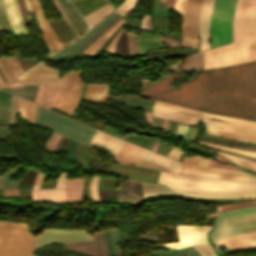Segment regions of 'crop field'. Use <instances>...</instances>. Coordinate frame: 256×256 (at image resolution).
Returning <instances> with one entry per match:
<instances>
[{"label":"crop field","instance_id":"crop-field-1","mask_svg":"<svg viewBox=\"0 0 256 256\" xmlns=\"http://www.w3.org/2000/svg\"><path fill=\"white\" fill-rule=\"evenodd\" d=\"M182 74L141 80V95L207 113L256 120V61L221 67L170 86Z\"/></svg>","mask_w":256,"mask_h":256},{"label":"crop field","instance_id":"crop-field-2","mask_svg":"<svg viewBox=\"0 0 256 256\" xmlns=\"http://www.w3.org/2000/svg\"><path fill=\"white\" fill-rule=\"evenodd\" d=\"M181 164L172 173L161 171L158 183L174 188L185 196L214 198L256 197V185L180 175Z\"/></svg>","mask_w":256,"mask_h":256},{"label":"crop field","instance_id":"crop-field-3","mask_svg":"<svg viewBox=\"0 0 256 256\" xmlns=\"http://www.w3.org/2000/svg\"><path fill=\"white\" fill-rule=\"evenodd\" d=\"M252 235H256V206L219 214L209 237L216 246L229 240Z\"/></svg>","mask_w":256,"mask_h":256},{"label":"crop field","instance_id":"crop-field-4","mask_svg":"<svg viewBox=\"0 0 256 256\" xmlns=\"http://www.w3.org/2000/svg\"><path fill=\"white\" fill-rule=\"evenodd\" d=\"M245 0H238L233 20L234 43L204 52V70L241 63V20Z\"/></svg>","mask_w":256,"mask_h":256},{"label":"crop field","instance_id":"crop-field-5","mask_svg":"<svg viewBox=\"0 0 256 256\" xmlns=\"http://www.w3.org/2000/svg\"><path fill=\"white\" fill-rule=\"evenodd\" d=\"M35 125L89 143L96 129L37 105Z\"/></svg>","mask_w":256,"mask_h":256},{"label":"crop field","instance_id":"crop-field-6","mask_svg":"<svg viewBox=\"0 0 256 256\" xmlns=\"http://www.w3.org/2000/svg\"><path fill=\"white\" fill-rule=\"evenodd\" d=\"M236 0H214L210 20L211 48L231 41V20Z\"/></svg>","mask_w":256,"mask_h":256},{"label":"crop field","instance_id":"crop-field-7","mask_svg":"<svg viewBox=\"0 0 256 256\" xmlns=\"http://www.w3.org/2000/svg\"><path fill=\"white\" fill-rule=\"evenodd\" d=\"M256 60V0H246L242 20V63Z\"/></svg>","mask_w":256,"mask_h":256},{"label":"crop field","instance_id":"crop-field-8","mask_svg":"<svg viewBox=\"0 0 256 256\" xmlns=\"http://www.w3.org/2000/svg\"><path fill=\"white\" fill-rule=\"evenodd\" d=\"M85 71H71L62 78V89L56 105V110L71 115L75 108L83 86L82 74Z\"/></svg>","mask_w":256,"mask_h":256},{"label":"crop field","instance_id":"crop-field-9","mask_svg":"<svg viewBox=\"0 0 256 256\" xmlns=\"http://www.w3.org/2000/svg\"><path fill=\"white\" fill-rule=\"evenodd\" d=\"M207 134L256 143V128L203 118Z\"/></svg>","mask_w":256,"mask_h":256},{"label":"crop field","instance_id":"crop-field-10","mask_svg":"<svg viewBox=\"0 0 256 256\" xmlns=\"http://www.w3.org/2000/svg\"><path fill=\"white\" fill-rule=\"evenodd\" d=\"M212 226L176 225L179 242L169 244H156L154 247L166 249H181L183 247L207 242V232Z\"/></svg>","mask_w":256,"mask_h":256},{"label":"crop field","instance_id":"crop-field-11","mask_svg":"<svg viewBox=\"0 0 256 256\" xmlns=\"http://www.w3.org/2000/svg\"><path fill=\"white\" fill-rule=\"evenodd\" d=\"M93 239L91 234L85 230H62V229H43V234L37 235L36 248L56 242H71Z\"/></svg>","mask_w":256,"mask_h":256},{"label":"crop field","instance_id":"crop-field-12","mask_svg":"<svg viewBox=\"0 0 256 256\" xmlns=\"http://www.w3.org/2000/svg\"><path fill=\"white\" fill-rule=\"evenodd\" d=\"M203 0H187L184 15L182 40L198 44L197 26Z\"/></svg>","mask_w":256,"mask_h":256},{"label":"crop field","instance_id":"crop-field-13","mask_svg":"<svg viewBox=\"0 0 256 256\" xmlns=\"http://www.w3.org/2000/svg\"><path fill=\"white\" fill-rule=\"evenodd\" d=\"M43 63V62H42ZM59 72L43 63L38 67H33L15 79L32 85L62 84L58 78Z\"/></svg>","mask_w":256,"mask_h":256},{"label":"crop field","instance_id":"crop-field-14","mask_svg":"<svg viewBox=\"0 0 256 256\" xmlns=\"http://www.w3.org/2000/svg\"><path fill=\"white\" fill-rule=\"evenodd\" d=\"M27 225L12 223L7 256H22Z\"/></svg>","mask_w":256,"mask_h":256},{"label":"crop field","instance_id":"crop-field-15","mask_svg":"<svg viewBox=\"0 0 256 256\" xmlns=\"http://www.w3.org/2000/svg\"><path fill=\"white\" fill-rule=\"evenodd\" d=\"M174 160L153 153L145 149L137 165L156 168L164 171H172Z\"/></svg>","mask_w":256,"mask_h":256},{"label":"crop field","instance_id":"crop-field-16","mask_svg":"<svg viewBox=\"0 0 256 256\" xmlns=\"http://www.w3.org/2000/svg\"><path fill=\"white\" fill-rule=\"evenodd\" d=\"M213 0H204L200 21H199V37L200 51L209 49V20L211 16Z\"/></svg>","mask_w":256,"mask_h":256},{"label":"crop field","instance_id":"crop-field-17","mask_svg":"<svg viewBox=\"0 0 256 256\" xmlns=\"http://www.w3.org/2000/svg\"><path fill=\"white\" fill-rule=\"evenodd\" d=\"M31 3L33 6V10H34L38 25H39V23H41V25L43 27V30H44L43 34H44L45 38L48 40V42L51 44V46L54 48L55 51L60 49L63 45L59 41V39L56 37V35L53 33L45 15L41 9L39 1L31 0ZM42 27L40 26L41 30H42Z\"/></svg>","mask_w":256,"mask_h":256},{"label":"crop field","instance_id":"crop-field-18","mask_svg":"<svg viewBox=\"0 0 256 256\" xmlns=\"http://www.w3.org/2000/svg\"><path fill=\"white\" fill-rule=\"evenodd\" d=\"M9 23L15 34L27 35L16 0H3Z\"/></svg>","mask_w":256,"mask_h":256},{"label":"crop field","instance_id":"crop-field-19","mask_svg":"<svg viewBox=\"0 0 256 256\" xmlns=\"http://www.w3.org/2000/svg\"><path fill=\"white\" fill-rule=\"evenodd\" d=\"M142 183H143L147 201L153 200V199L175 198L178 196H183L180 193L166 186L151 184L143 181Z\"/></svg>","mask_w":256,"mask_h":256},{"label":"crop field","instance_id":"crop-field-20","mask_svg":"<svg viewBox=\"0 0 256 256\" xmlns=\"http://www.w3.org/2000/svg\"><path fill=\"white\" fill-rule=\"evenodd\" d=\"M122 143L123 140L97 130L90 145L104 147L112 154H116Z\"/></svg>","mask_w":256,"mask_h":256},{"label":"crop field","instance_id":"crop-field-21","mask_svg":"<svg viewBox=\"0 0 256 256\" xmlns=\"http://www.w3.org/2000/svg\"><path fill=\"white\" fill-rule=\"evenodd\" d=\"M123 23L122 17L113 24L107 31H105L99 38H97L91 45H89L77 57L83 58L85 56L91 57L96 50L107 40V38Z\"/></svg>","mask_w":256,"mask_h":256},{"label":"crop field","instance_id":"crop-field-22","mask_svg":"<svg viewBox=\"0 0 256 256\" xmlns=\"http://www.w3.org/2000/svg\"><path fill=\"white\" fill-rule=\"evenodd\" d=\"M0 70L7 81L23 72L15 57L7 59L0 58Z\"/></svg>","mask_w":256,"mask_h":256},{"label":"crop field","instance_id":"crop-field-23","mask_svg":"<svg viewBox=\"0 0 256 256\" xmlns=\"http://www.w3.org/2000/svg\"><path fill=\"white\" fill-rule=\"evenodd\" d=\"M12 95L0 91V126H9Z\"/></svg>","mask_w":256,"mask_h":256},{"label":"crop field","instance_id":"crop-field-24","mask_svg":"<svg viewBox=\"0 0 256 256\" xmlns=\"http://www.w3.org/2000/svg\"><path fill=\"white\" fill-rule=\"evenodd\" d=\"M153 115L157 117L167 118V119H174V120L184 122L194 126H196L199 121L198 118H194V117H190V116H186V115H182V114H178V113H174V112H170V111H166V110H162L154 107H153Z\"/></svg>","mask_w":256,"mask_h":256},{"label":"crop field","instance_id":"crop-field-25","mask_svg":"<svg viewBox=\"0 0 256 256\" xmlns=\"http://www.w3.org/2000/svg\"><path fill=\"white\" fill-rule=\"evenodd\" d=\"M208 160L209 159H206L202 156L200 157L199 164H198L197 170H196L194 175L207 176V177L226 179V180H235V181H245V182H254V183H256V179H248V178H240V177H232V176H224V175L204 173L206 165L208 163Z\"/></svg>","mask_w":256,"mask_h":256},{"label":"crop field","instance_id":"crop-field-26","mask_svg":"<svg viewBox=\"0 0 256 256\" xmlns=\"http://www.w3.org/2000/svg\"><path fill=\"white\" fill-rule=\"evenodd\" d=\"M115 15H116V13H114V12L109 14L105 19H103L99 24H97L93 29H91L87 34H85L83 37H81L77 42L75 41L76 43L59 51L58 53H56L55 55L50 57L48 60L53 61V60L65 55L66 53H68L70 50H72L74 47H76L78 44H80L82 41H84L87 37H89L92 33H94L97 29H99L101 26H103L105 23H107Z\"/></svg>","mask_w":256,"mask_h":256},{"label":"crop field","instance_id":"crop-field-27","mask_svg":"<svg viewBox=\"0 0 256 256\" xmlns=\"http://www.w3.org/2000/svg\"><path fill=\"white\" fill-rule=\"evenodd\" d=\"M162 36H139L137 37L138 52L141 55L143 52L161 47Z\"/></svg>","mask_w":256,"mask_h":256},{"label":"crop field","instance_id":"crop-field-28","mask_svg":"<svg viewBox=\"0 0 256 256\" xmlns=\"http://www.w3.org/2000/svg\"><path fill=\"white\" fill-rule=\"evenodd\" d=\"M40 201H51L54 203H60L65 201L63 189L61 190H39Z\"/></svg>","mask_w":256,"mask_h":256},{"label":"crop field","instance_id":"crop-field-29","mask_svg":"<svg viewBox=\"0 0 256 256\" xmlns=\"http://www.w3.org/2000/svg\"><path fill=\"white\" fill-rule=\"evenodd\" d=\"M5 226H6V222H0V256H1V250H2ZM10 226H11V223L7 222L5 238H4V244H3V250H2V256H6V253H7L8 239H9V233H10Z\"/></svg>","mask_w":256,"mask_h":256},{"label":"crop field","instance_id":"crop-field-30","mask_svg":"<svg viewBox=\"0 0 256 256\" xmlns=\"http://www.w3.org/2000/svg\"><path fill=\"white\" fill-rule=\"evenodd\" d=\"M211 151L214 152V153L220 154L222 156H225V157L233 160L235 163H237L241 166H244L246 168L249 167L253 170H256V162L255 161H251V160L241 158V157H238V156H235V155L226 154V153H222V152H218V151H214V150H211Z\"/></svg>","mask_w":256,"mask_h":256},{"label":"crop field","instance_id":"crop-field-31","mask_svg":"<svg viewBox=\"0 0 256 256\" xmlns=\"http://www.w3.org/2000/svg\"><path fill=\"white\" fill-rule=\"evenodd\" d=\"M199 157L200 156H198V155H195L190 158L185 157V159L182 163L183 167H182L181 173L193 175L196 170Z\"/></svg>","mask_w":256,"mask_h":256},{"label":"crop field","instance_id":"crop-field-32","mask_svg":"<svg viewBox=\"0 0 256 256\" xmlns=\"http://www.w3.org/2000/svg\"><path fill=\"white\" fill-rule=\"evenodd\" d=\"M154 106L159 107V108H163V109H167V110H171V111H175V112H179V113H183V114H187V115H191V116H195V117H199V118H201V116L203 114V113H199V112H195V111L175 107V106H172V105H168V104L158 102V101L155 102Z\"/></svg>","mask_w":256,"mask_h":256},{"label":"crop field","instance_id":"crop-field-33","mask_svg":"<svg viewBox=\"0 0 256 256\" xmlns=\"http://www.w3.org/2000/svg\"><path fill=\"white\" fill-rule=\"evenodd\" d=\"M112 9H113V6L107 4V5L103 6L102 8L96 10L95 12L91 13L90 15L84 17V19L86 20V22L89 25H92L98 19H100L102 16H104L106 13H108Z\"/></svg>","mask_w":256,"mask_h":256},{"label":"crop field","instance_id":"crop-field-34","mask_svg":"<svg viewBox=\"0 0 256 256\" xmlns=\"http://www.w3.org/2000/svg\"><path fill=\"white\" fill-rule=\"evenodd\" d=\"M205 172L224 174V175H232V176H240V177H248V178H256L255 175H252V174H249L246 172H237V171L223 170V169L210 168V167H207Z\"/></svg>","mask_w":256,"mask_h":256},{"label":"crop field","instance_id":"crop-field-35","mask_svg":"<svg viewBox=\"0 0 256 256\" xmlns=\"http://www.w3.org/2000/svg\"><path fill=\"white\" fill-rule=\"evenodd\" d=\"M138 1L139 0H125L115 11L126 16L136 7Z\"/></svg>","mask_w":256,"mask_h":256},{"label":"crop field","instance_id":"crop-field-36","mask_svg":"<svg viewBox=\"0 0 256 256\" xmlns=\"http://www.w3.org/2000/svg\"><path fill=\"white\" fill-rule=\"evenodd\" d=\"M198 143H201V144H204L207 146H211V147H215V148H219V149H223V150H228V151L256 157V152H252V151L239 150V149H234V148H230V147H226V146H222V145H218V144H213V143L202 142V141H198Z\"/></svg>","mask_w":256,"mask_h":256},{"label":"crop field","instance_id":"crop-field-37","mask_svg":"<svg viewBox=\"0 0 256 256\" xmlns=\"http://www.w3.org/2000/svg\"><path fill=\"white\" fill-rule=\"evenodd\" d=\"M251 205H256V200L235 203V204L221 205V206H217L216 209H217V212H220V211H224V210L247 207V206H251Z\"/></svg>","mask_w":256,"mask_h":256},{"label":"crop field","instance_id":"crop-field-38","mask_svg":"<svg viewBox=\"0 0 256 256\" xmlns=\"http://www.w3.org/2000/svg\"><path fill=\"white\" fill-rule=\"evenodd\" d=\"M110 85L88 84L85 93L107 94Z\"/></svg>","mask_w":256,"mask_h":256},{"label":"crop field","instance_id":"crop-field-39","mask_svg":"<svg viewBox=\"0 0 256 256\" xmlns=\"http://www.w3.org/2000/svg\"><path fill=\"white\" fill-rule=\"evenodd\" d=\"M193 248L198 252L200 256H216L212 247L209 245V242L193 246Z\"/></svg>","mask_w":256,"mask_h":256},{"label":"crop field","instance_id":"crop-field-40","mask_svg":"<svg viewBox=\"0 0 256 256\" xmlns=\"http://www.w3.org/2000/svg\"><path fill=\"white\" fill-rule=\"evenodd\" d=\"M204 117L205 118L216 119V120L227 121V122L238 123V124L250 125V126H255L256 127V123H254V122H248V121L237 120V119L226 118V117H220V116L209 115V114H205Z\"/></svg>","mask_w":256,"mask_h":256},{"label":"crop field","instance_id":"crop-field-41","mask_svg":"<svg viewBox=\"0 0 256 256\" xmlns=\"http://www.w3.org/2000/svg\"><path fill=\"white\" fill-rule=\"evenodd\" d=\"M123 138L126 139V140H128V141H130V142H133V143H135V144H138V145H140V146H143V144H144V142H145V140H146L147 137H144V136H136V135H134V134H131V135H124ZM149 139H150V138L148 137L147 140H146V142H145V144H144V146H143L144 148L146 147V145H147Z\"/></svg>","mask_w":256,"mask_h":256},{"label":"crop field","instance_id":"crop-field-42","mask_svg":"<svg viewBox=\"0 0 256 256\" xmlns=\"http://www.w3.org/2000/svg\"><path fill=\"white\" fill-rule=\"evenodd\" d=\"M254 240H256V236L241 238V239L229 241L227 243L216 246V249L219 250V249L227 248V247H230V246H233V245H236V244H240V243H244V242H248V241H254Z\"/></svg>","mask_w":256,"mask_h":256},{"label":"crop field","instance_id":"crop-field-43","mask_svg":"<svg viewBox=\"0 0 256 256\" xmlns=\"http://www.w3.org/2000/svg\"><path fill=\"white\" fill-rule=\"evenodd\" d=\"M35 238L27 233L24 256H32Z\"/></svg>","mask_w":256,"mask_h":256},{"label":"crop field","instance_id":"crop-field-44","mask_svg":"<svg viewBox=\"0 0 256 256\" xmlns=\"http://www.w3.org/2000/svg\"><path fill=\"white\" fill-rule=\"evenodd\" d=\"M8 91L29 100L34 90L25 88H15L8 89Z\"/></svg>","mask_w":256,"mask_h":256},{"label":"crop field","instance_id":"crop-field-45","mask_svg":"<svg viewBox=\"0 0 256 256\" xmlns=\"http://www.w3.org/2000/svg\"><path fill=\"white\" fill-rule=\"evenodd\" d=\"M247 249H256V241L236 245V246L227 248L226 250H227V252H231V251L247 250Z\"/></svg>","mask_w":256,"mask_h":256},{"label":"crop field","instance_id":"crop-field-46","mask_svg":"<svg viewBox=\"0 0 256 256\" xmlns=\"http://www.w3.org/2000/svg\"><path fill=\"white\" fill-rule=\"evenodd\" d=\"M106 97H107V96L85 94L83 100L89 101V102H92V103H101V104H105Z\"/></svg>","mask_w":256,"mask_h":256},{"label":"crop field","instance_id":"crop-field-47","mask_svg":"<svg viewBox=\"0 0 256 256\" xmlns=\"http://www.w3.org/2000/svg\"><path fill=\"white\" fill-rule=\"evenodd\" d=\"M122 25L108 38V40L97 50V52L92 57L99 58L101 56V54L104 52L105 48L108 46L110 41L118 33V31L122 28Z\"/></svg>","mask_w":256,"mask_h":256},{"label":"crop field","instance_id":"crop-field-48","mask_svg":"<svg viewBox=\"0 0 256 256\" xmlns=\"http://www.w3.org/2000/svg\"><path fill=\"white\" fill-rule=\"evenodd\" d=\"M189 128V126H183L179 124L175 136L178 138H183V140L185 141L189 132Z\"/></svg>","mask_w":256,"mask_h":256},{"label":"crop field","instance_id":"crop-field-49","mask_svg":"<svg viewBox=\"0 0 256 256\" xmlns=\"http://www.w3.org/2000/svg\"><path fill=\"white\" fill-rule=\"evenodd\" d=\"M97 1H100V0H85V1H82V2L75 3V6L78 8V10H80V9L90 5V4H93V3L97 2ZM102 1H104V0H102ZM102 1H100V2H102ZM100 2H98V3H100ZM98 3L90 5V6L86 7V8H84V9L80 10L79 12H81V11L91 7V6H94V5L98 4Z\"/></svg>","mask_w":256,"mask_h":256},{"label":"crop field","instance_id":"crop-field-50","mask_svg":"<svg viewBox=\"0 0 256 256\" xmlns=\"http://www.w3.org/2000/svg\"><path fill=\"white\" fill-rule=\"evenodd\" d=\"M185 3H186V0H176L173 11H175L180 16H182L184 7H185Z\"/></svg>","mask_w":256,"mask_h":256},{"label":"crop field","instance_id":"crop-field-51","mask_svg":"<svg viewBox=\"0 0 256 256\" xmlns=\"http://www.w3.org/2000/svg\"><path fill=\"white\" fill-rule=\"evenodd\" d=\"M141 30H150V16L149 14H145L142 23H141Z\"/></svg>","mask_w":256,"mask_h":256},{"label":"crop field","instance_id":"crop-field-52","mask_svg":"<svg viewBox=\"0 0 256 256\" xmlns=\"http://www.w3.org/2000/svg\"><path fill=\"white\" fill-rule=\"evenodd\" d=\"M122 29L119 31V33L114 37V39L111 41V43L109 44V46L106 48L105 51L109 52L110 54L114 55V47H115V43L117 38L119 37L120 33H121Z\"/></svg>","mask_w":256,"mask_h":256},{"label":"crop field","instance_id":"crop-field-53","mask_svg":"<svg viewBox=\"0 0 256 256\" xmlns=\"http://www.w3.org/2000/svg\"><path fill=\"white\" fill-rule=\"evenodd\" d=\"M163 119L152 117V127L153 129H162Z\"/></svg>","mask_w":256,"mask_h":256},{"label":"crop field","instance_id":"crop-field-54","mask_svg":"<svg viewBox=\"0 0 256 256\" xmlns=\"http://www.w3.org/2000/svg\"><path fill=\"white\" fill-rule=\"evenodd\" d=\"M67 178V174L62 173L56 183L55 188H64L65 180Z\"/></svg>","mask_w":256,"mask_h":256},{"label":"crop field","instance_id":"crop-field-55","mask_svg":"<svg viewBox=\"0 0 256 256\" xmlns=\"http://www.w3.org/2000/svg\"><path fill=\"white\" fill-rule=\"evenodd\" d=\"M180 152H181L180 148L172 147L171 151L168 154V157L177 160Z\"/></svg>","mask_w":256,"mask_h":256},{"label":"crop field","instance_id":"crop-field-56","mask_svg":"<svg viewBox=\"0 0 256 256\" xmlns=\"http://www.w3.org/2000/svg\"><path fill=\"white\" fill-rule=\"evenodd\" d=\"M18 196V191L13 189H4V197Z\"/></svg>","mask_w":256,"mask_h":256},{"label":"crop field","instance_id":"crop-field-57","mask_svg":"<svg viewBox=\"0 0 256 256\" xmlns=\"http://www.w3.org/2000/svg\"><path fill=\"white\" fill-rule=\"evenodd\" d=\"M198 132H199V129H196V128L193 129L192 134H191V136H190V138H189V141H188V143H187L188 146H189V144H190L191 141H194V140H195V138H196L197 135H198ZM191 143H192V142H191Z\"/></svg>","mask_w":256,"mask_h":256},{"label":"crop field","instance_id":"crop-field-58","mask_svg":"<svg viewBox=\"0 0 256 256\" xmlns=\"http://www.w3.org/2000/svg\"><path fill=\"white\" fill-rule=\"evenodd\" d=\"M91 200L99 202L97 190L90 189Z\"/></svg>","mask_w":256,"mask_h":256},{"label":"crop field","instance_id":"crop-field-59","mask_svg":"<svg viewBox=\"0 0 256 256\" xmlns=\"http://www.w3.org/2000/svg\"><path fill=\"white\" fill-rule=\"evenodd\" d=\"M43 176H44V175L38 173V175H37V177H36V179H35V183H34L33 188H38V187H39Z\"/></svg>","mask_w":256,"mask_h":256},{"label":"crop field","instance_id":"crop-field-60","mask_svg":"<svg viewBox=\"0 0 256 256\" xmlns=\"http://www.w3.org/2000/svg\"><path fill=\"white\" fill-rule=\"evenodd\" d=\"M104 2H105V1H104ZM102 3H103V2H102ZM100 4H101V3H100ZM105 4H107V2H105V3L101 4V5L98 4L99 6L96 5L97 7L94 6L95 8H92V7H91L92 9L89 8L90 10L87 9L88 11L85 10L86 12L83 11L84 13L81 12V13H82V16H85V15L91 13L92 11L98 9L99 7H101V6L105 5Z\"/></svg>","mask_w":256,"mask_h":256},{"label":"crop field","instance_id":"crop-field-61","mask_svg":"<svg viewBox=\"0 0 256 256\" xmlns=\"http://www.w3.org/2000/svg\"><path fill=\"white\" fill-rule=\"evenodd\" d=\"M190 148H194V149H197V150L202 151V152H204V153H208V154L216 155V156H217V154L209 153V152L205 151L204 149H202L200 146H198V145H196V144L190 145Z\"/></svg>","mask_w":256,"mask_h":256},{"label":"crop field","instance_id":"crop-field-62","mask_svg":"<svg viewBox=\"0 0 256 256\" xmlns=\"http://www.w3.org/2000/svg\"><path fill=\"white\" fill-rule=\"evenodd\" d=\"M98 177L99 176H93V178H92V180L90 182V187H95L96 188Z\"/></svg>","mask_w":256,"mask_h":256},{"label":"crop field","instance_id":"crop-field-63","mask_svg":"<svg viewBox=\"0 0 256 256\" xmlns=\"http://www.w3.org/2000/svg\"><path fill=\"white\" fill-rule=\"evenodd\" d=\"M182 47L197 48L196 45H194V44H192V43L184 42V41H182Z\"/></svg>","mask_w":256,"mask_h":256},{"label":"crop field","instance_id":"crop-field-64","mask_svg":"<svg viewBox=\"0 0 256 256\" xmlns=\"http://www.w3.org/2000/svg\"><path fill=\"white\" fill-rule=\"evenodd\" d=\"M80 121H81V120H80ZM82 122H84V121H82ZM85 123H87V124H89V125H92V126H94V127H97V128H99V129L103 130V128H102V127H100V126H98V125L94 124V123H93V121L85 122ZM95 123H97V122H95ZM97 124H99V125H101V126H103V127H104V125H102V124H100V123H97Z\"/></svg>","mask_w":256,"mask_h":256},{"label":"crop field","instance_id":"crop-field-65","mask_svg":"<svg viewBox=\"0 0 256 256\" xmlns=\"http://www.w3.org/2000/svg\"><path fill=\"white\" fill-rule=\"evenodd\" d=\"M32 196L34 198V201H39L38 190H33Z\"/></svg>","mask_w":256,"mask_h":256},{"label":"crop field","instance_id":"crop-field-66","mask_svg":"<svg viewBox=\"0 0 256 256\" xmlns=\"http://www.w3.org/2000/svg\"><path fill=\"white\" fill-rule=\"evenodd\" d=\"M42 40V42L45 44V46L48 48V50L50 51V53L52 54L53 51L52 49L50 48V46L48 45V43L46 42V40L44 39V37L40 38Z\"/></svg>","mask_w":256,"mask_h":256},{"label":"crop field","instance_id":"crop-field-67","mask_svg":"<svg viewBox=\"0 0 256 256\" xmlns=\"http://www.w3.org/2000/svg\"><path fill=\"white\" fill-rule=\"evenodd\" d=\"M26 6H27L28 14L31 15L32 14V10H31V6H30V3H29V0H26Z\"/></svg>","mask_w":256,"mask_h":256},{"label":"crop field","instance_id":"crop-field-68","mask_svg":"<svg viewBox=\"0 0 256 256\" xmlns=\"http://www.w3.org/2000/svg\"><path fill=\"white\" fill-rule=\"evenodd\" d=\"M155 140H156V138L152 137L147 147L151 149L153 144H154V142H155Z\"/></svg>","mask_w":256,"mask_h":256},{"label":"crop field","instance_id":"crop-field-69","mask_svg":"<svg viewBox=\"0 0 256 256\" xmlns=\"http://www.w3.org/2000/svg\"><path fill=\"white\" fill-rule=\"evenodd\" d=\"M215 143H219V142H215ZM219 144H222V143H219ZM224 145H226V144H224ZM229 146H234V145H229ZM234 147H239V148L250 149V150H255L256 151V148H247V147H242V146H234Z\"/></svg>","mask_w":256,"mask_h":256},{"label":"crop field","instance_id":"crop-field-70","mask_svg":"<svg viewBox=\"0 0 256 256\" xmlns=\"http://www.w3.org/2000/svg\"><path fill=\"white\" fill-rule=\"evenodd\" d=\"M170 123H171V121L169 120V121H168V124H167V127H166V130H165V133H168L169 127H170Z\"/></svg>","mask_w":256,"mask_h":256},{"label":"crop field","instance_id":"crop-field-71","mask_svg":"<svg viewBox=\"0 0 256 256\" xmlns=\"http://www.w3.org/2000/svg\"><path fill=\"white\" fill-rule=\"evenodd\" d=\"M132 19H130V21L128 22L127 26H131Z\"/></svg>","mask_w":256,"mask_h":256},{"label":"crop field","instance_id":"crop-field-72","mask_svg":"<svg viewBox=\"0 0 256 256\" xmlns=\"http://www.w3.org/2000/svg\"><path fill=\"white\" fill-rule=\"evenodd\" d=\"M2 84H4V83H3V81H2V79H1V77H0V86H1Z\"/></svg>","mask_w":256,"mask_h":256},{"label":"crop field","instance_id":"crop-field-73","mask_svg":"<svg viewBox=\"0 0 256 256\" xmlns=\"http://www.w3.org/2000/svg\"><path fill=\"white\" fill-rule=\"evenodd\" d=\"M163 3H165V0H161Z\"/></svg>","mask_w":256,"mask_h":256},{"label":"crop field","instance_id":"crop-field-74","mask_svg":"<svg viewBox=\"0 0 256 256\" xmlns=\"http://www.w3.org/2000/svg\"><path fill=\"white\" fill-rule=\"evenodd\" d=\"M0 31H1V29H0Z\"/></svg>","mask_w":256,"mask_h":256},{"label":"crop field","instance_id":"crop-field-75","mask_svg":"<svg viewBox=\"0 0 256 256\" xmlns=\"http://www.w3.org/2000/svg\"><path fill=\"white\" fill-rule=\"evenodd\" d=\"M126 22V21H125Z\"/></svg>","mask_w":256,"mask_h":256}]
</instances>
